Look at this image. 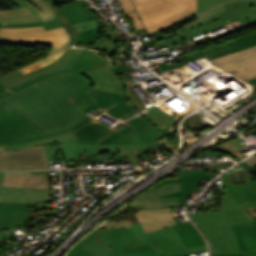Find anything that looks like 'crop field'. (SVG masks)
<instances>
[{
	"instance_id": "obj_38",
	"label": "crop field",
	"mask_w": 256,
	"mask_h": 256,
	"mask_svg": "<svg viewBox=\"0 0 256 256\" xmlns=\"http://www.w3.org/2000/svg\"><path fill=\"white\" fill-rule=\"evenodd\" d=\"M40 20L38 16L35 17H21V18H0V23H22Z\"/></svg>"
},
{
	"instance_id": "obj_29",
	"label": "crop field",
	"mask_w": 256,
	"mask_h": 256,
	"mask_svg": "<svg viewBox=\"0 0 256 256\" xmlns=\"http://www.w3.org/2000/svg\"><path fill=\"white\" fill-rule=\"evenodd\" d=\"M204 251L169 255V256H180L186 254H196ZM113 256H156L155 252L150 245L145 246H128V247H112Z\"/></svg>"
},
{
	"instance_id": "obj_20",
	"label": "crop field",
	"mask_w": 256,
	"mask_h": 256,
	"mask_svg": "<svg viewBox=\"0 0 256 256\" xmlns=\"http://www.w3.org/2000/svg\"><path fill=\"white\" fill-rule=\"evenodd\" d=\"M48 199L50 190L0 187V202L48 203Z\"/></svg>"
},
{
	"instance_id": "obj_47",
	"label": "crop field",
	"mask_w": 256,
	"mask_h": 256,
	"mask_svg": "<svg viewBox=\"0 0 256 256\" xmlns=\"http://www.w3.org/2000/svg\"><path fill=\"white\" fill-rule=\"evenodd\" d=\"M15 3H17L19 6H27L28 4L24 2L23 0H13Z\"/></svg>"
},
{
	"instance_id": "obj_42",
	"label": "crop field",
	"mask_w": 256,
	"mask_h": 256,
	"mask_svg": "<svg viewBox=\"0 0 256 256\" xmlns=\"http://www.w3.org/2000/svg\"><path fill=\"white\" fill-rule=\"evenodd\" d=\"M229 179L233 184L246 185L247 183L245 176L229 177Z\"/></svg>"
},
{
	"instance_id": "obj_44",
	"label": "crop field",
	"mask_w": 256,
	"mask_h": 256,
	"mask_svg": "<svg viewBox=\"0 0 256 256\" xmlns=\"http://www.w3.org/2000/svg\"><path fill=\"white\" fill-rule=\"evenodd\" d=\"M245 210L251 220L256 219V207L245 208Z\"/></svg>"
},
{
	"instance_id": "obj_32",
	"label": "crop field",
	"mask_w": 256,
	"mask_h": 256,
	"mask_svg": "<svg viewBox=\"0 0 256 256\" xmlns=\"http://www.w3.org/2000/svg\"><path fill=\"white\" fill-rule=\"evenodd\" d=\"M242 142H245V141H243L242 139L236 137V138H234V139H232V140H230V141H228V142H226V143L216 147L215 149H219V150H222V151H226V152L232 153V154L236 155L238 158H240L242 160V159L245 158L244 156H242L239 153V151L243 149L242 148L243 147L242 144H240Z\"/></svg>"
},
{
	"instance_id": "obj_34",
	"label": "crop field",
	"mask_w": 256,
	"mask_h": 256,
	"mask_svg": "<svg viewBox=\"0 0 256 256\" xmlns=\"http://www.w3.org/2000/svg\"><path fill=\"white\" fill-rule=\"evenodd\" d=\"M221 1H223V0H198V10L189 14V15H187V16H185V17H183V18H181V19H179V20H177V21H175V23L178 24V23H180V22H182V21L200 13L201 11H203V10L207 9L208 7L214 5L218 2H221Z\"/></svg>"
},
{
	"instance_id": "obj_15",
	"label": "crop field",
	"mask_w": 256,
	"mask_h": 256,
	"mask_svg": "<svg viewBox=\"0 0 256 256\" xmlns=\"http://www.w3.org/2000/svg\"><path fill=\"white\" fill-rule=\"evenodd\" d=\"M216 66L251 80L256 77V46L211 60Z\"/></svg>"
},
{
	"instance_id": "obj_18",
	"label": "crop field",
	"mask_w": 256,
	"mask_h": 256,
	"mask_svg": "<svg viewBox=\"0 0 256 256\" xmlns=\"http://www.w3.org/2000/svg\"><path fill=\"white\" fill-rule=\"evenodd\" d=\"M44 1L54 9L58 17L53 21L44 23V27L46 30L96 17L87 7L77 1H73L60 8L55 7L53 4L58 3L61 0Z\"/></svg>"
},
{
	"instance_id": "obj_36",
	"label": "crop field",
	"mask_w": 256,
	"mask_h": 256,
	"mask_svg": "<svg viewBox=\"0 0 256 256\" xmlns=\"http://www.w3.org/2000/svg\"><path fill=\"white\" fill-rule=\"evenodd\" d=\"M127 66L128 65L115 64V72L123 79L125 87L134 84L128 76L130 74L127 71Z\"/></svg>"
},
{
	"instance_id": "obj_7",
	"label": "crop field",
	"mask_w": 256,
	"mask_h": 256,
	"mask_svg": "<svg viewBox=\"0 0 256 256\" xmlns=\"http://www.w3.org/2000/svg\"><path fill=\"white\" fill-rule=\"evenodd\" d=\"M139 245L132 228L94 231L78 242L66 256H112L111 246Z\"/></svg>"
},
{
	"instance_id": "obj_23",
	"label": "crop field",
	"mask_w": 256,
	"mask_h": 256,
	"mask_svg": "<svg viewBox=\"0 0 256 256\" xmlns=\"http://www.w3.org/2000/svg\"><path fill=\"white\" fill-rule=\"evenodd\" d=\"M61 143L66 161H80L79 154L82 151H119L123 148L135 149L133 145H94L79 143L77 138L66 140Z\"/></svg>"
},
{
	"instance_id": "obj_43",
	"label": "crop field",
	"mask_w": 256,
	"mask_h": 256,
	"mask_svg": "<svg viewBox=\"0 0 256 256\" xmlns=\"http://www.w3.org/2000/svg\"><path fill=\"white\" fill-rule=\"evenodd\" d=\"M125 11L126 12H131V11H134L135 8L134 6L132 5L131 1L130 0H120Z\"/></svg>"
},
{
	"instance_id": "obj_25",
	"label": "crop field",
	"mask_w": 256,
	"mask_h": 256,
	"mask_svg": "<svg viewBox=\"0 0 256 256\" xmlns=\"http://www.w3.org/2000/svg\"><path fill=\"white\" fill-rule=\"evenodd\" d=\"M246 179L247 185L239 186L231 184L228 177L224 178L235 203L241 202L245 207L256 206V180L252 174Z\"/></svg>"
},
{
	"instance_id": "obj_46",
	"label": "crop field",
	"mask_w": 256,
	"mask_h": 256,
	"mask_svg": "<svg viewBox=\"0 0 256 256\" xmlns=\"http://www.w3.org/2000/svg\"><path fill=\"white\" fill-rule=\"evenodd\" d=\"M245 256H256V249L250 250V251H245Z\"/></svg>"
},
{
	"instance_id": "obj_8",
	"label": "crop field",
	"mask_w": 256,
	"mask_h": 256,
	"mask_svg": "<svg viewBox=\"0 0 256 256\" xmlns=\"http://www.w3.org/2000/svg\"><path fill=\"white\" fill-rule=\"evenodd\" d=\"M108 64H111L110 60L102 54L92 50L77 48L71 57L60 66L37 75L9 90L1 92L5 93L7 91H11L8 94L1 95L0 99L36 83H40L61 75L84 73Z\"/></svg>"
},
{
	"instance_id": "obj_31",
	"label": "crop field",
	"mask_w": 256,
	"mask_h": 256,
	"mask_svg": "<svg viewBox=\"0 0 256 256\" xmlns=\"http://www.w3.org/2000/svg\"><path fill=\"white\" fill-rule=\"evenodd\" d=\"M233 1H237V0H225V1L215 5L213 7L203 11L202 13L196 15L199 19H197V20H195V21H193L191 23H188L186 25H183V26H181V28L183 29V28H185L187 26L196 24V23H198V22H200V21L210 17L211 15L218 14V13H220L222 11H225L226 9H225L223 4L230 3V2H233Z\"/></svg>"
},
{
	"instance_id": "obj_9",
	"label": "crop field",
	"mask_w": 256,
	"mask_h": 256,
	"mask_svg": "<svg viewBox=\"0 0 256 256\" xmlns=\"http://www.w3.org/2000/svg\"><path fill=\"white\" fill-rule=\"evenodd\" d=\"M225 7L227 11L212 16L199 24L181 30V32L184 34L176 35L167 40L157 42L159 48L202 35V32L208 29L213 31L240 18L256 15V0L237 1L226 4Z\"/></svg>"
},
{
	"instance_id": "obj_45",
	"label": "crop field",
	"mask_w": 256,
	"mask_h": 256,
	"mask_svg": "<svg viewBox=\"0 0 256 256\" xmlns=\"http://www.w3.org/2000/svg\"><path fill=\"white\" fill-rule=\"evenodd\" d=\"M244 162H245V164L251 166V165H255V164H256V159H255L254 156H253V157H251V158L245 160Z\"/></svg>"
},
{
	"instance_id": "obj_50",
	"label": "crop field",
	"mask_w": 256,
	"mask_h": 256,
	"mask_svg": "<svg viewBox=\"0 0 256 256\" xmlns=\"http://www.w3.org/2000/svg\"><path fill=\"white\" fill-rule=\"evenodd\" d=\"M253 132L256 133V129H254V130H252V131H250V132H248V133H246V134H244V135L247 136V135H249V134H251V133H253Z\"/></svg>"
},
{
	"instance_id": "obj_52",
	"label": "crop field",
	"mask_w": 256,
	"mask_h": 256,
	"mask_svg": "<svg viewBox=\"0 0 256 256\" xmlns=\"http://www.w3.org/2000/svg\"><path fill=\"white\" fill-rule=\"evenodd\" d=\"M255 174V177H256V171L253 172Z\"/></svg>"
},
{
	"instance_id": "obj_28",
	"label": "crop field",
	"mask_w": 256,
	"mask_h": 256,
	"mask_svg": "<svg viewBox=\"0 0 256 256\" xmlns=\"http://www.w3.org/2000/svg\"><path fill=\"white\" fill-rule=\"evenodd\" d=\"M144 113L148 118H150L156 125H158L166 133L172 132V128L176 120H178V118L180 117L179 115H173L170 117L166 113L158 110L154 105Z\"/></svg>"
},
{
	"instance_id": "obj_33",
	"label": "crop field",
	"mask_w": 256,
	"mask_h": 256,
	"mask_svg": "<svg viewBox=\"0 0 256 256\" xmlns=\"http://www.w3.org/2000/svg\"><path fill=\"white\" fill-rule=\"evenodd\" d=\"M36 12L30 7L19 8L11 11H0V17L34 16Z\"/></svg>"
},
{
	"instance_id": "obj_39",
	"label": "crop field",
	"mask_w": 256,
	"mask_h": 256,
	"mask_svg": "<svg viewBox=\"0 0 256 256\" xmlns=\"http://www.w3.org/2000/svg\"><path fill=\"white\" fill-rule=\"evenodd\" d=\"M132 227L131 221L106 222L95 230L103 228Z\"/></svg>"
},
{
	"instance_id": "obj_17",
	"label": "crop field",
	"mask_w": 256,
	"mask_h": 256,
	"mask_svg": "<svg viewBox=\"0 0 256 256\" xmlns=\"http://www.w3.org/2000/svg\"><path fill=\"white\" fill-rule=\"evenodd\" d=\"M88 93L100 106L99 109L115 116L120 120H125L137 114H140L131 106V104L122 94L98 89L90 90L88 91Z\"/></svg>"
},
{
	"instance_id": "obj_3",
	"label": "crop field",
	"mask_w": 256,
	"mask_h": 256,
	"mask_svg": "<svg viewBox=\"0 0 256 256\" xmlns=\"http://www.w3.org/2000/svg\"><path fill=\"white\" fill-rule=\"evenodd\" d=\"M179 179H162L152 186L127 207L133 208H166L187 205L185 197L192 194L202 178L210 181L211 174L203 169L178 171Z\"/></svg>"
},
{
	"instance_id": "obj_11",
	"label": "crop field",
	"mask_w": 256,
	"mask_h": 256,
	"mask_svg": "<svg viewBox=\"0 0 256 256\" xmlns=\"http://www.w3.org/2000/svg\"><path fill=\"white\" fill-rule=\"evenodd\" d=\"M94 113L89 115L79 123H77L71 129H69L72 131L71 133L40 140V141H35L27 144L7 146L5 147V150L6 152H8V151H13V150H18V149H23L28 147L40 146V145H45V144H49L57 141H63L73 137H78L79 139H84V140H98L103 134H105L107 131L113 128L97 120L96 118L98 117V115Z\"/></svg>"
},
{
	"instance_id": "obj_12",
	"label": "crop field",
	"mask_w": 256,
	"mask_h": 256,
	"mask_svg": "<svg viewBox=\"0 0 256 256\" xmlns=\"http://www.w3.org/2000/svg\"><path fill=\"white\" fill-rule=\"evenodd\" d=\"M75 49L51 51L39 61L19 68L0 77V82L8 89L37 74L47 71L67 60Z\"/></svg>"
},
{
	"instance_id": "obj_40",
	"label": "crop field",
	"mask_w": 256,
	"mask_h": 256,
	"mask_svg": "<svg viewBox=\"0 0 256 256\" xmlns=\"http://www.w3.org/2000/svg\"><path fill=\"white\" fill-rule=\"evenodd\" d=\"M43 25L42 21L32 22V23H22V24H0V27H30V26H39Z\"/></svg>"
},
{
	"instance_id": "obj_35",
	"label": "crop field",
	"mask_w": 256,
	"mask_h": 256,
	"mask_svg": "<svg viewBox=\"0 0 256 256\" xmlns=\"http://www.w3.org/2000/svg\"><path fill=\"white\" fill-rule=\"evenodd\" d=\"M98 30L99 28L78 33L77 35H78L80 44L92 43L95 40V38H97Z\"/></svg>"
},
{
	"instance_id": "obj_24",
	"label": "crop field",
	"mask_w": 256,
	"mask_h": 256,
	"mask_svg": "<svg viewBox=\"0 0 256 256\" xmlns=\"http://www.w3.org/2000/svg\"><path fill=\"white\" fill-rule=\"evenodd\" d=\"M252 224L232 226L240 253L216 254L211 256H244L242 251L256 248V220Z\"/></svg>"
},
{
	"instance_id": "obj_1",
	"label": "crop field",
	"mask_w": 256,
	"mask_h": 256,
	"mask_svg": "<svg viewBox=\"0 0 256 256\" xmlns=\"http://www.w3.org/2000/svg\"><path fill=\"white\" fill-rule=\"evenodd\" d=\"M92 88L83 74L66 75L33 85L1 101L12 102L50 134L71 128L99 108L86 92Z\"/></svg>"
},
{
	"instance_id": "obj_16",
	"label": "crop field",
	"mask_w": 256,
	"mask_h": 256,
	"mask_svg": "<svg viewBox=\"0 0 256 256\" xmlns=\"http://www.w3.org/2000/svg\"><path fill=\"white\" fill-rule=\"evenodd\" d=\"M36 210V204L0 203V243L18 236L7 228L32 222L28 212Z\"/></svg>"
},
{
	"instance_id": "obj_27",
	"label": "crop field",
	"mask_w": 256,
	"mask_h": 256,
	"mask_svg": "<svg viewBox=\"0 0 256 256\" xmlns=\"http://www.w3.org/2000/svg\"><path fill=\"white\" fill-rule=\"evenodd\" d=\"M254 45H256V36L252 37L250 39H247L245 41H242L238 44L229 46L227 48H222V49H219L217 51L209 52V53L204 54V55H200V56H197V57H194V58H191V59H187V60L181 61L177 64L171 65V66H168L166 62L160 63L159 65H160L162 71H166V70H169V69L179 67L183 63H186V62H189V61H192V60H196V59H199V58H202V57H205V56H207L208 59L210 60V59H213V58L225 55V54H229V53H232V52L244 50V49L249 48V47L254 46Z\"/></svg>"
},
{
	"instance_id": "obj_6",
	"label": "crop field",
	"mask_w": 256,
	"mask_h": 256,
	"mask_svg": "<svg viewBox=\"0 0 256 256\" xmlns=\"http://www.w3.org/2000/svg\"><path fill=\"white\" fill-rule=\"evenodd\" d=\"M124 123L127 125L121 131L113 127L112 131L106 133L98 141H79L94 144H134L137 151L161 146L155 139H159L164 134L143 116L129 119Z\"/></svg>"
},
{
	"instance_id": "obj_26",
	"label": "crop field",
	"mask_w": 256,
	"mask_h": 256,
	"mask_svg": "<svg viewBox=\"0 0 256 256\" xmlns=\"http://www.w3.org/2000/svg\"><path fill=\"white\" fill-rule=\"evenodd\" d=\"M172 229L184 248L200 247L206 245L200 233L189 221L182 222L176 226H172Z\"/></svg>"
},
{
	"instance_id": "obj_5",
	"label": "crop field",
	"mask_w": 256,
	"mask_h": 256,
	"mask_svg": "<svg viewBox=\"0 0 256 256\" xmlns=\"http://www.w3.org/2000/svg\"><path fill=\"white\" fill-rule=\"evenodd\" d=\"M135 7L150 34L175 25L174 20L196 10L197 0H155Z\"/></svg>"
},
{
	"instance_id": "obj_2",
	"label": "crop field",
	"mask_w": 256,
	"mask_h": 256,
	"mask_svg": "<svg viewBox=\"0 0 256 256\" xmlns=\"http://www.w3.org/2000/svg\"><path fill=\"white\" fill-rule=\"evenodd\" d=\"M228 196H221L222 210L190 214L191 219L205 233L211 254L239 252L230 225L251 223L241 203L234 204L225 185Z\"/></svg>"
},
{
	"instance_id": "obj_53",
	"label": "crop field",
	"mask_w": 256,
	"mask_h": 256,
	"mask_svg": "<svg viewBox=\"0 0 256 256\" xmlns=\"http://www.w3.org/2000/svg\"><path fill=\"white\" fill-rule=\"evenodd\" d=\"M186 256H188V255H186Z\"/></svg>"
},
{
	"instance_id": "obj_14",
	"label": "crop field",
	"mask_w": 256,
	"mask_h": 256,
	"mask_svg": "<svg viewBox=\"0 0 256 256\" xmlns=\"http://www.w3.org/2000/svg\"><path fill=\"white\" fill-rule=\"evenodd\" d=\"M0 169H49L43 146L5 153L0 147Z\"/></svg>"
},
{
	"instance_id": "obj_37",
	"label": "crop field",
	"mask_w": 256,
	"mask_h": 256,
	"mask_svg": "<svg viewBox=\"0 0 256 256\" xmlns=\"http://www.w3.org/2000/svg\"><path fill=\"white\" fill-rule=\"evenodd\" d=\"M131 86L125 88V96L130 101L132 106L137 109L140 113L144 111V107L142 106L141 102H139L138 97L133 93V91L130 89Z\"/></svg>"
},
{
	"instance_id": "obj_22",
	"label": "crop field",
	"mask_w": 256,
	"mask_h": 256,
	"mask_svg": "<svg viewBox=\"0 0 256 256\" xmlns=\"http://www.w3.org/2000/svg\"><path fill=\"white\" fill-rule=\"evenodd\" d=\"M134 215L141 222L145 234L176 225L169 208L141 209L140 212H136Z\"/></svg>"
},
{
	"instance_id": "obj_49",
	"label": "crop field",
	"mask_w": 256,
	"mask_h": 256,
	"mask_svg": "<svg viewBox=\"0 0 256 256\" xmlns=\"http://www.w3.org/2000/svg\"><path fill=\"white\" fill-rule=\"evenodd\" d=\"M6 88L0 83V92L5 90Z\"/></svg>"
},
{
	"instance_id": "obj_13",
	"label": "crop field",
	"mask_w": 256,
	"mask_h": 256,
	"mask_svg": "<svg viewBox=\"0 0 256 256\" xmlns=\"http://www.w3.org/2000/svg\"><path fill=\"white\" fill-rule=\"evenodd\" d=\"M132 225L139 244H151L158 256L207 249L206 246L184 249L171 227L144 235L140 223H132Z\"/></svg>"
},
{
	"instance_id": "obj_21",
	"label": "crop field",
	"mask_w": 256,
	"mask_h": 256,
	"mask_svg": "<svg viewBox=\"0 0 256 256\" xmlns=\"http://www.w3.org/2000/svg\"><path fill=\"white\" fill-rule=\"evenodd\" d=\"M95 88L124 94L121 78L114 72V64L84 73Z\"/></svg>"
},
{
	"instance_id": "obj_10",
	"label": "crop field",
	"mask_w": 256,
	"mask_h": 256,
	"mask_svg": "<svg viewBox=\"0 0 256 256\" xmlns=\"http://www.w3.org/2000/svg\"><path fill=\"white\" fill-rule=\"evenodd\" d=\"M0 43L53 46L54 49L69 48L70 36L64 26L45 31L43 26L31 28H0Z\"/></svg>"
},
{
	"instance_id": "obj_19",
	"label": "crop field",
	"mask_w": 256,
	"mask_h": 256,
	"mask_svg": "<svg viewBox=\"0 0 256 256\" xmlns=\"http://www.w3.org/2000/svg\"><path fill=\"white\" fill-rule=\"evenodd\" d=\"M0 186L50 189L48 171H2Z\"/></svg>"
},
{
	"instance_id": "obj_48",
	"label": "crop field",
	"mask_w": 256,
	"mask_h": 256,
	"mask_svg": "<svg viewBox=\"0 0 256 256\" xmlns=\"http://www.w3.org/2000/svg\"><path fill=\"white\" fill-rule=\"evenodd\" d=\"M134 2V4H140V3H143V2H147V1H151V0H132Z\"/></svg>"
},
{
	"instance_id": "obj_51",
	"label": "crop field",
	"mask_w": 256,
	"mask_h": 256,
	"mask_svg": "<svg viewBox=\"0 0 256 256\" xmlns=\"http://www.w3.org/2000/svg\"><path fill=\"white\" fill-rule=\"evenodd\" d=\"M249 82L252 83V84H254V85L256 86V78L253 79V80H251V81H249Z\"/></svg>"
},
{
	"instance_id": "obj_30",
	"label": "crop field",
	"mask_w": 256,
	"mask_h": 256,
	"mask_svg": "<svg viewBox=\"0 0 256 256\" xmlns=\"http://www.w3.org/2000/svg\"><path fill=\"white\" fill-rule=\"evenodd\" d=\"M29 1L35 4L32 7L42 18L43 22L50 21L56 18V15L53 12L52 8L48 4H46L44 1L42 0H29Z\"/></svg>"
},
{
	"instance_id": "obj_4",
	"label": "crop field",
	"mask_w": 256,
	"mask_h": 256,
	"mask_svg": "<svg viewBox=\"0 0 256 256\" xmlns=\"http://www.w3.org/2000/svg\"><path fill=\"white\" fill-rule=\"evenodd\" d=\"M68 132L71 131L48 135L9 101L4 104L0 102V146L27 143Z\"/></svg>"
},
{
	"instance_id": "obj_41",
	"label": "crop field",
	"mask_w": 256,
	"mask_h": 256,
	"mask_svg": "<svg viewBox=\"0 0 256 256\" xmlns=\"http://www.w3.org/2000/svg\"><path fill=\"white\" fill-rule=\"evenodd\" d=\"M129 16L133 22L134 29L143 28V25L136 12L131 13Z\"/></svg>"
}]
</instances>
